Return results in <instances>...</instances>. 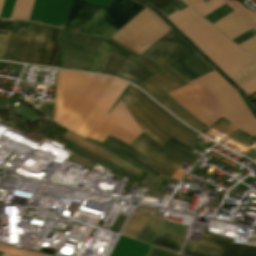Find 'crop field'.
Returning a JSON list of instances; mask_svg holds the SVG:
<instances>
[{
  "mask_svg": "<svg viewBox=\"0 0 256 256\" xmlns=\"http://www.w3.org/2000/svg\"><path fill=\"white\" fill-rule=\"evenodd\" d=\"M188 84L182 88L214 113L224 117L250 137L256 135V120L253 115L239 94L215 70Z\"/></svg>",
  "mask_w": 256,
  "mask_h": 256,
  "instance_id": "obj_1",
  "label": "crop field"
},
{
  "mask_svg": "<svg viewBox=\"0 0 256 256\" xmlns=\"http://www.w3.org/2000/svg\"><path fill=\"white\" fill-rule=\"evenodd\" d=\"M60 31L33 23L28 37L11 33L2 60L54 67L61 48Z\"/></svg>",
  "mask_w": 256,
  "mask_h": 256,
  "instance_id": "obj_2",
  "label": "crop field"
},
{
  "mask_svg": "<svg viewBox=\"0 0 256 256\" xmlns=\"http://www.w3.org/2000/svg\"><path fill=\"white\" fill-rule=\"evenodd\" d=\"M145 99L148 98L138 89L133 87L121 101L127 108L131 117L136 121V123L159 143L162 144L170 135L165 132L158 124L170 132L174 137L187 144H189L198 136V134L185 127L152 100L140 103L165 126L190 142L173 133L162 123H160L153 115H151L144 107L137 103Z\"/></svg>",
  "mask_w": 256,
  "mask_h": 256,
  "instance_id": "obj_3",
  "label": "crop field"
},
{
  "mask_svg": "<svg viewBox=\"0 0 256 256\" xmlns=\"http://www.w3.org/2000/svg\"><path fill=\"white\" fill-rule=\"evenodd\" d=\"M180 30L225 72L253 58L200 16Z\"/></svg>",
  "mask_w": 256,
  "mask_h": 256,
  "instance_id": "obj_4",
  "label": "crop field"
},
{
  "mask_svg": "<svg viewBox=\"0 0 256 256\" xmlns=\"http://www.w3.org/2000/svg\"><path fill=\"white\" fill-rule=\"evenodd\" d=\"M129 145L148 157L144 164L160 173L162 177L171 178L183 162L192 166L200 157L193 153L195 149L171 136L159 145L143 132Z\"/></svg>",
  "mask_w": 256,
  "mask_h": 256,
  "instance_id": "obj_5",
  "label": "crop field"
},
{
  "mask_svg": "<svg viewBox=\"0 0 256 256\" xmlns=\"http://www.w3.org/2000/svg\"><path fill=\"white\" fill-rule=\"evenodd\" d=\"M144 8L132 0H112L75 33L108 39Z\"/></svg>",
  "mask_w": 256,
  "mask_h": 256,
  "instance_id": "obj_6",
  "label": "crop field"
},
{
  "mask_svg": "<svg viewBox=\"0 0 256 256\" xmlns=\"http://www.w3.org/2000/svg\"><path fill=\"white\" fill-rule=\"evenodd\" d=\"M170 30L145 8L111 38L141 55Z\"/></svg>",
  "mask_w": 256,
  "mask_h": 256,
  "instance_id": "obj_7",
  "label": "crop field"
},
{
  "mask_svg": "<svg viewBox=\"0 0 256 256\" xmlns=\"http://www.w3.org/2000/svg\"><path fill=\"white\" fill-rule=\"evenodd\" d=\"M176 35L171 30L143 53L144 56L164 70L157 75L174 90L187 85V83L167 66L194 51Z\"/></svg>",
  "mask_w": 256,
  "mask_h": 256,
  "instance_id": "obj_8",
  "label": "crop field"
},
{
  "mask_svg": "<svg viewBox=\"0 0 256 256\" xmlns=\"http://www.w3.org/2000/svg\"><path fill=\"white\" fill-rule=\"evenodd\" d=\"M126 86L127 83L115 79L76 134L102 142L118 123L107 113Z\"/></svg>",
  "mask_w": 256,
  "mask_h": 256,
  "instance_id": "obj_9",
  "label": "crop field"
},
{
  "mask_svg": "<svg viewBox=\"0 0 256 256\" xmlns=\"http://www.w3.org/2000/svg\"><path fill=\"white\" fill-rule=\"evenodd\" d=\"M92 76L91 74L58 70L53 121L59 122Z\"/></svg>",
  "mask_w": 256,
  "mask_h": 256,
  "instance_id": "obj_10",
  "label": "crop field"
},
{
  "mask_svg": "<svg viewBox=\"0 0 256 256\" xmlns=\"http://www.w3.org/2000/svg\"><path fill=\"white\" fill-rule=\"evenodd\" d=\"M232 241L203 235L200 244L186 242L182 254L191 256H256L255 247L235 244Z\"/></svg>",
  "mask_w": 256,
  "mask_h": 256,
  "instance_id": "obj_11",
  "label": "crop field"
},
{
  "mask_svg": "<svg viewBox=\"0 0 256 256\" xmlns=\"http://www.w3.org/2000/svg\"><path fill=\"white\" fill-rule=\"evenodd\" d=\"M154 99H156L160 104L178 116L187 124L192 127L202 131L208 127L203 125L197 119H195L189 112L182 108L178 103L171 99L167 93L173 91L164 81H162L157 75L136 85Z\"/></svg>",
  "mask_w": 256,
  "mask_h": 256,
  "instance_id": "obj_12",
  "label": "crop field"
},
{
  "mask_svg": "<svg viewBox=\"0 0 256 256\" xmlns=\"http://www.w3.org/2000/svg\"><path fill=\"white\" fill-rule=\"evenodd\" d=\"M108 80V77L94 75L59 124L71 131Z\"/></svg>",
  "mask_w": 256,
  "mask_h": 256,
  "instance_id": "obj_13",
  "label": "crop field"
},
{
  "mask_svg": "<svg viewBox=\"0 0 256 256\" xmlns=\"http://www.w3.org/2000/svg\"><path fill=\"white\" fill-rule=\"evenodd\" d=\"M164 221L165 219L156 215H154L153 218H150L133 214L121 234L149 243Z\"/></svg>",
  "mask_w": 256,
  "mask_h": 256,
  "instance_id": "obj_14",
  "label": "crop field"
},
{
  "mask_svg": "<svg viewBox=\"0 0 256 256\" xmlns=\"http://www.w3.org/2000/svg\"><path fill=\"white\" fill-rule=\"evenodd\" d=\"M214 25L232 40L248 29L256 28V14L249 9L239 15L233 11Z\"/></svg>",
  "mask_w": 256,
  "mask_h": 256,
  "instance_id": "obj_15",
  "label": "crop field"
},
{
  "mask_svg": "<svg viewBox=\"0 0 256 256\" xmlns=\"http://www.w3.org/2000/svg\"><path fill=\"white\" fill-rule=\"evenodd\" d=\"M133 59L141 64L143 67H145L153 75L163 71L154 64H152L147 58L142 55L137 59L130 56L128 61L124 63L121 70L117 74V77L137 84L153 76L141 66H139Z\"/></svg>",
  "mask_w": 256,
  "mask_h": 256,
  "instance_id": "obj_16",
  "label": "crop field"
},
{
  "mask_svg": "<svg viewBox=\"0 0 256 256\" xmlns=\"http://www.w3.org/2000/svg\"><path fill=\"white\" fill-rule=\"evenodd\" d=\"M169 67L187 82L214 70L195 51Z\"/></svg>",
  "mask_w": 256,
  "mask_h": 256,
  "instance_id": "obj_17",
  "label": "crop field"
},
{
  "mask_svg": "<svg viewBox=\"0 0 256 256\" xmlns=\"http://www.w3.org/2000/svg\"><path fill=\"white\" fill-rule=\"evenodd\" d=\"M169 96H171L176 102H178L182 107L192 113L208 127L217 120L221 119L181 88L169 93Z\"/></svg>",
  "mask_w": 256,
  "mask_h": 256,
  "instance_id": "obj_18",
  "label": "crop field"
},
{
  "mask_svg": "<svg viewBox=\"0 0 256 256\" xmlns=\"http://www.w3.org/2000/svg\"><path fill=\"white\" fill-rule=\"evenodd\" d=\"M162 230L178 233L184 235V232L186 230V227L180 226V225H174V224H168L164 223V225L161 227ZM160 230L157 235L152 239L150 244L162 246L165 248L173 249V250H179L182 242H183V236L162 231Z\"/></svg>",
  "mask_w": 256,
  "mask_h": 256,
  "instance_id": "obj_19",
  "label": "crop field"
},
{
  "mask_svg": "<svg viewBox=\"0 0 256 256\" xmlns=\"http://www.w3.org/2000/svg\"><path fill=\"white\" fill-rule=\"evenodd\" d=\"M65 135L67 136L65 139L110 160L111 162L119 165L120 167L132 172L136 176L139 177V175L141 174L140 170H138L135 167L131 166L130 164L124 162L123 160L119 159L118 157L114 156L113 154L85 141L84 139H82L78 136H75L73 134H70V133L69 134L66 133Z\"/></svg>",
  "mask_w": 256,
  "mask_h": 256,
  "instance_id": "obj_20",
  "label": "crop field"
},
{
  "mask_svg": "<svg viewBox=\"0 0 256 256\" xmlns=\"http://www.w3.org/2000/svg\"><path fill=\"white\" fill-rule=\"evenodd\" d=\"M210 129L248 147L251 148V142L252 139L249 138L247 135H245L243 132H241L239 129L234 127L232 124L227 122L225 119L219 121L217 124H215ZM247 148V149H248ZM250 150V149H249Z\"/></svg>",
  "mask_w": 256,
  "mask_h": 256,
  "instance_id": "obj_21",
  "label": "crop field"
},
{
  "mask_svg": "<svg viewBox=\"0 0 256 256\" xmlns=\"http://www.w3.org/2000/svg\"><path fill=\"white\" fill-rule=\"evenodd\" d=\"M114 46L106 43L102 40L101 45L94 57L92 65L89 71L101 73L104 67L105 61Z\"/></svg>",
  "mask_w": 256,
  "mask_h": 256,
  "instance_id": "obj_22",
  "label": "crop field"
},
{
  "mask_svg": "<svg viewBox=\"0 0 256 256\" xmlns=\"http://www.w3.org/2000/svg\"><path fill=\"white\" fill-rule=\"evenodd\" d=\"M197 15L195 12H193L188 7L179 11H175L173 14H171L169 17H167L172 23H174L179 29L182 28L184 25L192 21L194 18H196Z\"/></svg>",
  "mask_w": 256,
  "mask_h": 256,
  "instance_id": "obj_23",
  "label": "crop field"
},
{
  "mask_svg": "<svg viewBox=\"0 0 256 256\" xmlns=\"http://www.w3.org/2000/svg\"><path fill=\"white\" fill-rule=\"evenodd\" d=\"M103 143L109 144V145H113L119 148H122L124 150H126L128 153H130L131 155H133L134 157H136L138 160H140L141 162H145L148 158L142 156L141 154H139L137 151H135L134 149H132L131 147H129L128 145H126L125 143L111 137V136H107L106 139L103 141Z\"/></svg>",
  "mask_w": 256,
  "mask_h": 256,
  "instance_id": "obj_24",
  "label": "crop field"
},
{
  "mask_svg": "<svg viewBox=\"0 0 256 256\" xmlns=\"http://www.w3.org/2000/svg\"><path fill=\"white\" fill-rule=\"evenodd\" d=\"M85 4H86V1H83V0L72 1L67 20L63 25L64 27L69 28L72 25V23L74 22V20L76 19V17L78 16V14L80 13V11L82 10Z\"/></svg>",
  "mask_w": 256,
  "mask_h": 256,
  "instance_id": "obj_25",
  "label": "crop field"
},
{
  "mask_svg": "<svg viewBox=\"0 0 256 256\" xmlns=\"http://www.w3.org/2000/svg\"><path fill=\"white\" fill-rule=\"evenodd\" d=\"M113 81L114 79L110 78V80L107 82L102 91L99 93L94 102L91 104V106L88 108L86 113L83 115V117L80 119V121L77 123V125L73 128L71 132L75 133V131L78 129V127L81 125V123L84 121V119L87 117V115L90 113V111L93 109V107L96 105V103L99 101V99L102 97V95L105 93V91L108 89V87L111 85Z\"/></svg>",
  "mask_w": 256,
  "mask_h": 256,
  "instance_id": "obj_26",
  "label": "crop field"
},
{
  "mask_svg": "<svg viewBox=\"0 0 256 256\" xmlns=\"http://www.w3.org/2000/svg\"><path fill=\"white\" fill-rule=\"evenodd\" d=\"M109 135H111L127 144H129L135 138L118 125L114 128V130Z\"/></svg>",
  "mask_w": 256,
  "mask_h": 256,
  "instance_id": "obj_27",
  "label": "crop field"
},
{
  "mask_svg": "<svg viewBox=\"0 0 256 256\" xmlns=\"http://www.w3.org/2000/svg\"><path fill=\"white\" fill-rule=\"evenodd\" d=\"M146 256H179L169 250L150 246Z\"/></svg>",
  "mask_w": 256,
  "mask_h": 256,
  "instance_id": "obj_28",
  "label": "crop field"
},
{
  "mask_svg": "<svg viewBox=\"0 0 256 256\" xmlns=\"http://www.w3.org/2000/svg\"><path fill=\"white\" fill-rule=\"evenodd\" d=\"M152 5H154L158 10L164 9L166 6H168L170 3H172L174 0H145Z\"/></svg>",
  "mask_w": 256,
  "mask_h": 256,
  "instance_id": "obj_29",
  "label": "crop field"
},
{
  "mask_svg": "<svg viewBox=\"0 0 256 256\" xmlns=\"http://www.w3.org/2000/svg\"><path fill=\"white\" fill-rule=\"evenodd\" d=\"M255 34H256V30L252 28L232 41L238 45L243 41L249 39L250 37L254 36Z\"/></svg>",
  "mask_w": 256,
  "mask_h": 256,
  "instance_id": "obj_30",
  "label": "crop field"
},
{
  "mask_svg": "<svg viewBox=\"0 0 256 256\" xmlns=\"http://www.w3.org/2000/svg\"><path fill=\"white\" fill-rule=\"evenodd\" d=\"M9 34H10V31H8L7 36L0 35V58L2 57V54L4 52Z\"/></svg>",
  "mask_w": 256,
  "mask_h": 256,
  "instance_id": "obj_31",
  "label": "crop field"
},
{
  "mask_svg": "<svg viewBox=\"0 0 256 256\" xmlns=\"http://www.w3.org/2000/svg\"><path fill=\"white\" fill-rule=\"evenodd\" d=\"M178 2H180V1L179 0L174 1L172 4H170L168 7H166L161 12H163L166 15V17L169 16L171 13H173L175 10H177L172 5H174V4L178 3Z\"/></svg>",
  "mask_w": 256,
  "mask_h": 256,
  "instance_id": "obj_32",
  "label": "crop field"
},
{
  "mask_svg": "<svg viewBox=\"0 0 256 256\" xmlns=\"http://www.w3.org/2000/svg\"><path fill=\"white\" fill-rule=\"evenodd\" d=\"M3 3H4V0H0V13H1V9H2Z\"/></svg>",
  "mask_w": 256,
  "mask_h": 256,
  "instance_id": "obj_33",
  "label": "crop field"
},
{
  "mask_svg": "<svg viewBox=\"0 0 256 256\" xmlns=\"http://www.w3.org/2000/svg\"><path fill=\"white\" fill-rule=\"evenodd\" d=\"M4 254V253H3ZM3 256V255H2ZM4 256H15V255H11V254H7L5 253Z\"/></svg>",
  "mask_w": 256,
  "mask_h": 256,
  "instance_id": "obj_34",
  "label": "crop field"
},
{
  "mask_svg": "<svg viewBox=\"0 0 256 256\" xmlns=\"http://www.w3.org/2000/svg\"><path fill=\"white\" fill-rule=\"evenodd\" d=\"M253 57H255V58H256V55H255V56H253Z\"/></svg>",
  "mask_w": 256,
  "mask_h": 256,
  "instance_id": "obj_35",
  "label": "crop field"
},
{
  "mask_svg": "<svg viewBox=\"0 0 256 256\" xmlns=\"http://www.w3.org/2000/svg\"><path fill=\"white\" fill-rule=\"evenodd\" d=\"M255 106H256V103H255Z\"/></svg>",
  "mask_w": 256,
  "mask_h": 256,
  "instance_id": "obj_36",
  "label": "crop field"
},
{
  "mask_svg": "<svg viewBox=\"0 0 256 256\" xmlns=\"http://www.w3.org/2000/svg\"><path fill=\"white\" fill-rule=\"evenodd\" d=\"M183 1V0H182Z\"/></svg>",
  "mask_w": 256,
  "mask_h": 256,
  "instance_id": "obj_37",
  "label": "crop field"
}]
</instances>
